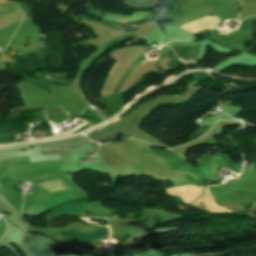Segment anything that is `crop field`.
<instances>
[{"label":"crop field","instance_id":"412701ff","mask_svg":"<svg viewBox=\"0 0 256 256\" xmlns=\"http://www.w3.org/2000/svg\"><path fill=\"white\" fill-rule=\"evenodd\" d=\"M27 163H29L27 157L12 159V160H4V161L0 162V173H2L3 171H5L11 167H15V166L27 164Z\"/></svg>","mask_w":256,"mask_h":256},{"label":"crop field","instance_id":"d8731c3e","mask_svg":"<svg viewBox=\"0 0 256 256\" xmlns=\"http://www.w3.org/2000/svg\"><path fill=\"white\" fill-rule=\"evenodd\" d=\"M124 21H120V23H123ZM125 22H127V20L125 21Z\"/></svg>","mask_w":256,"mask_h":256},{"label":"crop field","instance_id":"8a807250","mask_svg":"<svg viewBox=\"0 0 256 256\" xmlns=\"http://www.w3.org/2000/svg\"><path fill=\"white\" fill-rule=\"evenodd\" d=\"M106 229H107V237H110V230L108 227H106ZM102 232H103V237H106V230L104 227H102ZM60 235H64L67 237L78 239L80 241H87V242H92L94 239L102 238L101 227L92 233L63 231V232H60ZM67 237L60 236L58 240L73 247H80L88 250L90 249L91 243L80 242L78 240L67 238Z\"/></svg>","mask_w":256,"mask_h":256},{"label":"crop field","instance_id":"3316defc","mask_svg":"<svg viewBox=\"0 0 256 256\" xmlns=\"http://www.w3.org/2000/svg\"><path fill=\"white\" fill-rule=\"evenodd\" d=\"M234 16V15H233Z\"/></svg>","mask_w":256,"mask_h":256},{"label":"crop field","instance_id":"ac0d7876","mask_svg":"<svg viewBox=\"0 0 256 256\" xmlns=\"http://www.w3.org/2000/svg\"><path fill=\"white\" fill-rule=\"evenodd\" d=\"M87 203V201L83 202H77V203H69L66 204L53 212L49 214H55V215H87L84 211V205Z\"/></svg>","mask_w":256,"mask_h":256},{"label":"crop field","instance_id":"5a996713","mask_svg":"<svg viewBox=\"0 0 256 256\" xmlns=\"http://www.w3.org/2000/svg\"><path fill=\"white\" fill-rule=\"evenodd\" d=\"M194 206H198V207H200V205L198 204V205H194Z\"/></svg>","mask_w":256,"mask_h":256},{"label":"crop field","instance_id":"dd49c442","mask_svg":"<svg viewBox=\"0 0 256 256\" xmlns=\"http://www.w3.org/2000/svg\"><path fill=\"white\" fill-rule=\"evenodd\" d=\"M252 23H253V26H252L253 45L251 46L248 52L256 55V21H252ZM223 34H228V33H223Z\"/></svg>","mask_w":256,"mask_h":256},{"label":"crop field","instance_id":"e52e79f7","mask_svg":"<svg viewBox=\"0 0 256 256\" xmlns=\"http://www.w3.org/2000/svg\"><path fill=\"white\" fill-rule=\"evenodd\" d=\"M144 59H146V57H144V58L140 59V62H141V61H143Z\"/></svg>","mask_w":256,"mask_h":256},{"label":"crop field","instance_id":"34b2d1b8","mask_svg":"<svg viewBox=\"0 0 256 256\" xmlns=\"http://www.w3.org/2000/svg\"><path fill=\"white\" fill-rule=\"evenodd\" d=\"M47 191H54V190H61V189H67L64 181L62 180H52V181H47L39 184H35Z\"/></svg>","mask_w":256,"mask_h":256},{"label":"crop field","instance_id":"f4fd0767","mask_svg":"<svg viewBox=\"0 0 256 256\" xmlns=\"http://www.w3.org/2000/svg\"><path fill=\"white\" fill-rule=\"evenodd\" d=\"M31 163L35 162H43V161H49V160H60V155H44V156H30L29 157Z\"/></svg>","mask_w":256,"mask_h":256}]
</instances>
